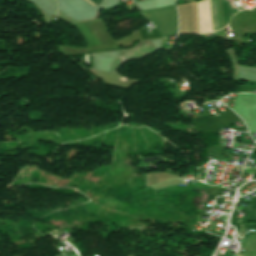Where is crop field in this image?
<instances>
[{"label": "crop field", "instance_id": "crop-field-2", "mask_svg": "<svg viewBox=\"0 0 256 256\" xmlns=\"http://www.w3.org/2000/svg\"><path fill=\"white\" fill-rule=\"evenodd\" d=\"M205 33L210 32L208 0L203 1ZM202 1L196 2L198 34L204 33Z\"/></svg>", "mask_w": 256, "mask_h": 256}, {"label": "crop field", "instance_id": "crop-field-1", "mask_svg": "<svg viewBox=\"0 0 256 256\" xmlns=\"http://www.w3.org/2000/svg\"><path fill=\"white\" fill-rule=\"evenodd\" d=\"M142 14L153 23L163 37L177 34V13L175 6L144 11Z\"/></svg>", "mask_w": 256, "mask_h": 256}, {"label": "crop field", "instance_id": "crop-field-3", "mask_svg": "<svg viewBox=\"0 0 256 256\" xmlns=\"http://www.w3.org/2000/svg\"><path fill=\"white\" fill-rule=\"evenodd\" d=\"M88 2H90V1H92L94 4H96V5H99V4H101V2H102V0H87ZM91 3V2H90ZM93 3H91L92 5H94ZM96 5H94V6H96Z\"/></svg>", "mask_w": 256, "mask_h": 256}]
</instances>
